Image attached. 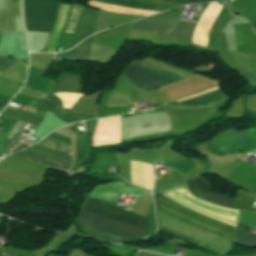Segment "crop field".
<instances>
[{
    "instance_id": "crop-field-1",
    "label": "crop field",
    "mask_w": 256,
    "mask_h": 256,
    "mask_svg": "<svg viewBox=\"0 0 256 256\" xmlns=\"http://www.w3.org/2000/svg\"><path fill=\"white\" fill-rule=\"evenodd\" d=\"M81 211L98 215L104 218L120 221L144 229L146 218L127 212L110 205L109 203L87 198ZM79 212L76 220L86 227L110 236L122 239H135L142 229L132 227L120 222L104 219L88 213Z\"/></svg>"
},
{
    "instance_id": "crop-field-2",
    "label": "crop field",
    "mask_w": 256,
    "mask_h": 256,
    "mask_svg": "<svg viewBox=\"0 0 256 256\" xmlns=\"http://www.w3.org/2000/svg\"><path fill=\"white\" fill-rule=\"evenodd\" d=\"M126 75L133 86L153 90L161 85L186 79L185 77L145 60L134 61L126 67Z\"/></svg>"
},
{
    "instance_id": "crop-field-3",
    "label": "crop field",
    "mask_w": 256,
    "mask_h": 256,
    "mask_svg": "<svg viewBox=\"0 0 256 256\" xmlns=\"http://www.w3.org/2000/svg\"><path fill=\"white\" fill-rule=\"evenodd\" d=\"M157 210L162 211L166 214L174 216L192 225L200 227L218 236L226 238L231 241L234 233V226L225 225L218 223L193 213H190L179 206H177L167 195L166 191L155 194Z\"/></svg>"
},
{
    "instance_id": "crop-field-4",
    "label": "crop field",
    "mask_w": 256,
    "mask_h": 256,
    "mask_svg": "<svg viewBox=\"0 0 256 256\" xmlns=\"http://www.w3.org/2000/svg\"><path fill=\"white\" fill-rule=\"evenodd\" d=\"M57 0H24L27 30L48 32L54 22Z\"/></svg>"
},
{
    "instance_id": "crop-field-5",
    "label": "crop field",
    "mask_w": 256,
    "mask_h": 256,
    "mask_svg": "<svg viewBox=\"0 0 256 256\" xmlns=\"http://www.w3.org/2000/svg\"><path fill=\"white\" fill-rule=\"evenodd\" d=\"M181 15L172 13H161L148 18L141 19L133 29L170 31L178 22Z\"/></svg>"
},
{
    "instance_id": "crop-field-6",
    "label": "crop field",
    "mask_w": 256,
    "mask_h": 256,
    "mask_svg": "<svg viewBox=\"0 0 256 256\" xmlns=\"http://www.w3.org/2000/svg\"><path fill=\"white\" fill-rule=\"evenodd\" d=\"M236 50L256 55V34L249 24L234 25Z\"/></svg>"
},
{
    "instance_id": "crop-field-7",
    "label": "crop field",
    "mask_w": 256,
    "mask_h": 256,
    "mask_svg": "<svg viewBox=\"0 0 256 256\" xmlns=\"http://www.w3.org/2000/svg\"><path fill=\"white\" fill-rule=\"evenodd\" d=\"M36 145H39V146H42V147H45V148H48V149H51V150H55V151H58V152H61V153H64V154H67V155L71 156V146L70 145H67L65 143L53 140V139L48 138V137L44 138L43 140L38 142ZM36 145H33V146H31L29 148H26V149L42 151V152L51 154L55 157H58L60 159H63L65 161H68V162L71 163V157L70 156H67V155H64V154H61V153H58V152H55V151H51V150H48V149H45V148H42V147H39V146H36Z\"/></svg>"
},
{
    "instance_id": "crop-field-8",
    "label": "crop field",
    "mask_w": 256,
    "mask_h": 256,
    "mask_svg": "<svg viewBox=\"0 0 256 256\" xmlns=\"http://www.w3.org/2000/svg\"><path fill=\"white\" fill-rule=\"evenodd\" d=\"M13 155H16L18 157L27 159L29 161H32L41 165L55 167V168L64 169V170H66L70 166V164L63 162L57 158L51 157L46 154L38 153V152L20 151Z\"/></svg>"
},
{
    "instance_id": "crop-field-9",
    "label": "crop field",
    "mask_w": 256,
    "mask_h": 256,
    "mask_svg": "<svg viewBox=\"0 0 256 256\" xmlns=\"http://www.w3.org/2000/svg\"><path fill=\"white\" fill-rule=\"evenodd\" d=\"M96 14V10L86 7L84 8L81 20L77 28L76 38L73 43V46L93 31L94 23L96 20Z\"/></svg>"
},
{
    "instance_id": "crop-field-10",
    "label": "crop field",
    "mask_w": 256,
    "mask_h": 256,
    "mask_svg": "<svg viewBox=\"0 0 256 256\" xmlns=\"http://www.w3.org/2000/svg\"><path fill=\"white\" fill-rule=\"evenodd\" d=\"M61 91L80 92V82L78 76H61L56 83L52 93Z\"/></svg>"
},
{
    "instance_id": "crop-field-11",
    "label": "crop field",
    "mask_w": 256,
    "mask_h": 256,
    "mask_svg": "<svg viewBox=\"0 0 256 256\" xmlns=\"http://www.w3.org/2000/svg\"><path fill=\"white\" fill-rule=\"evenodd\" d=\"M102 3H108L128 8L141 9V10H151V11H160L155 5H146L136 2L134 0H92Z\"/></svg>"
},
{
    "instance_id": "crop-field-12",
    "label": "crop field",
    "mask_w": 256,
    "mask_h": 256,
    "mask_svg": "<svg viewBox=\"0 0 256 256\" xmlns=\"http://www.w3.org/2000/svg\"><path fill=\"white\" fill-rule=\"evenodd\" d=\"M91 38L92 36L80 43L73 50H70L64 59L87 60L89 56Z\"/></svg>"
},
{
    "instance_id": "crop-field-13",
    "label": "crop field",
    "mask_w": 256,
    "mask_h": 256,
    "mask_svg": "<svg viewBox=\"0 0 256 256\" xmlns=\"http://www.w3.org/2000/svg\"><path fill=\"white\" fill-rule=\"evenodd\" d=\"M181 20L187 21V20H183V19H181ZM182 21H179V23L173 29L172 34H173L174 38L191 40L192 31L195 26V24H194L195 22L188 23L191 21H188V22H182Z\"/></svg>"
},
{
    "instance_id": "crop-field-14",
    "label": "crop field",
    "mask_w": 256,
    "mask_h": 256,
    "mask_svg": "<svg viewBox=\"0 0 256 256\" xmlns=\"http://www.w3.org/2000/svg\"><path fill=\"white\" fill-rule=\"evenodd\" d=\"M247 228H248L247 226H244V225L238 223L233 241L242 242V243L251 244V245L256 246V236L251 234L247 230Z\"/></svg>"
},
{
    "instance_id": "crop-field-15",
    "label": "crop field",
    "mask_w": 256,
    "mask_h": 256,
    "mask_svg": "<svg viewBox=\"0 0 256 256\" xmlns=\"http://www.w3.org/2000/svg\"><path fill=\"white\" fill-rule=\"evenodd\" d=\"M187 186L189 191L192 194H194L196 197H199L208 193L207 182L203 181L199 177L188 179Z\"/></svg>"
},
{
    "instance_id": "crop-field-16",
    "label": "crop field",
    "mask_w": 256,
    "mask_h": 256,
    "mask_svg": "<svg viewBox=\"0 0 256 256\" xmlns=\"http://www.w3.org/2000/svg\"><path fill=\"white\" fill-rule=\"evenodd\" d=\"M221 96H222V94L219 91V92H215V93H212L209 95H205V96L191 99V100L181 102V103H183L185 105H192V106H206V105H209L211 103H214V102L220 100Z\"/></svg>"
},
{
    "instance_id": "crop-field-17",
    "label": "crop field",
    "mask_w": 256,
    "mask_h": 256,
    "mask_svg": "<svg viewBox=\"0 0 256 256\" xmlns=\"http://www.w3.org/2000/svg\"><path fill=\"white\" fill-rule=\"evenodd\" d=\"M255 199V197L237 192L233 201L234 208L239 210L252 211V205Z\"/></svg>"
},
{
    "instance_id": "crop-field-18",
    "label": "crop field",
    "mask_w": 256,
    "mask_h": 256,
    "mask_svg": "<svg viewBox=\"0 0 256 256\" xmlns=\"http://www.w3.org/2000/svg\"><path fill=\"white\" fill-rule=\"evenodd\" d=\"M45 71L29 66L28 79L24 87L35 90L41 79L43 78Z\"/></svg>"
},
{
    "instance_id": "crop-field-19",
    "label": "crop field",
    "mask_w": 256,
    "mask_h": 256,
    "mask_svg": "<svg viewBox=\"0 0 256 256\" xmlns=\"http://www.w3.org/2000/svg\"><path fill=\"white\" fill-rule=\"evenodd\" d=\"M164 166L172 169H177L183 174L196 168L191 160L186 161H164Z\"/></svg>"
},
{
    "instance_id": "crop-field-20",
    "label": "crop field",
    "mask_w": 256,
    "mask_h": 256,
    "mask_svg": "<svg viewBox=\"0 0 256 256\" xmlns=\"http://www.w3.org/2000/svg\"><path fill=\"white\" fill-rule=\"evenodd\" d=\"M200 198L204 199V200H207L211 203H215V204H219V205H223V206L233 208L232 199H229V198H225V197L215 195V194H212V193H209V194H207L203 197H200Z\"/></svg>"
},
{
    "instance_id": "crop-field-21",
    "label": "crop field",
    "mask_w": 256,
    "mask_h": 256,
    "mask_svg": "<svg viewBox=\"0 0 256 256\" xmlns=\"http://www.w3.org/2000/svg\"><path fill=\"white\" fill-rule=\"evenodd\" d=\"M159 228H160V229H163L164 231L170 232V233H172V234H174V235L180 236V237H182V238H184V239H186V240H188V241H190V242H193V243H195V244H197V245H200V246H202V247H204V248H206V249H209V250H211V251H214V252H216V253H218V254H226V253H228V252H230V251L232 250V246H231V242H230V241H229L230 249L227 250L226 252H221V251H219V250H217V249H215V248H212V247H210V246H208V245H205V244H203V243H200V242H198V241H196V240H193V239H191V238H189V237H186V236H184V235H182V234H179V233H177V232H174V231H172V230H170V229H167V228H165V227H163V226H161V225H159ZM180 237H179V238H180Z\"/></svg>"
},
{
    "instance_id": "crop-field-22",
    "label": "crop field",
    "mask_w": 256,
    "mask_h": 256,
    "mask_svg": "<svg viewBox=\"0 0 256 256\" xmlns=\"http://www.w3.org/2000/svg\"><path fill=\"white\" fill-rule=\"evenodd\" d=\"M53 95L61 99L65 108H70L76 102V100L81 96V94H74V93H58Z\"/></svg>"
},
{
    "instance_id": "crop-field-23",
    "label": "crop field",
    "mask_w": 256,
    "mask_h": 256,
    "mask_svg": "<svg viewBox=\"0 0 256 256\" xmlns=\"http://www.w3.org/2000/svg\"><path fill=\"white\" fill-rule=\"evenodd\" d=\"M0 117H4V118H8V119H13V120H19V121L28 122V123H33V124H36V125H38L39 122H40L38 120L28 119V118H24V117H21V116H14V115L5 114V113H2L0 115Z\"/></svg>"
},
{
    "instance_id": "crop-field-24",
    "label": "crop field",
    "mask_w": 256,
    "mask_h": 256,
    "mask_svg": "<svg viewBox=\"0 0 256 256\" xmlns=\"http://www.w3.org/2000/svg\"><path fill=\"white\" fill-rule=\"evenodd\" d=\"M157 1H162V2H166V3L189 5V4L200 3V2H208V1H214V0H157Z\"/></svg>"
},
{
    "instance_id": "crop-field-25",
    "label": "crop field",
    "mask_w": 256,
    "mask_h": 256,
    "mask_svg": "<svg viewBox=\"0 0 256 256\" xmlns=\"http://www.w3.org/2000/svg\"><path fill=\"white\" fill-rule=\"evenodd\" d=\"M17 59L0 56V69H6L12 66Z\"/></svg>"
},
{
    "instance_id": "crop-field-26",
    "label": "crop field",
    "mask_w": 256,
    "mask_h": 256,
    "mask_svg": "<svg viewBox=\"0 0 256 256\" xmlns=\"http://www.w3.org/2000/svg\"><path fill=\"white\" fill-rule=\"evenodd\" d=\"M11 99V97H7V96H0V101H6L9 102Z\"/></svg>"
},
{
    "instance_id": "crop-field-27",
    "label": "crop field",
    "mask_w": 256,
    "mask_h": 256,
    "mask_svg": "<svg viewBox=\"0 0 256 256\" xmlns=\"http://www.w3.org/2000/svg\"><path fill=\"white\" fill-rule=\"evenodd\" d=\"M6 104H7L6 102H0V106H4L5 107Z\"/></svg>"
},
{
    "instance_id": "crop-field-28",
    "label": "crop field",
    "mask_w": 256,
    "mask_h": 256,
    "mask_svg": "<svg viewBox=\"0 0 256 256\" xmlns=\"http://www.w3.org/2000/svg\"><path fill=\"white\" fill-rule=\"evenodd\" d=\"M253 30L256 32V24L252 25Z\"/></svg>"
},
{
    "instance_id": "crop-field-29",
    "label": "crop field",
    "mask_w": 256,
    "mask_h": 256,
    "mask_svg": "<svg viewBox=\"0 0 256 256\" xmlns=\"http://www.w3.org/2000/svg\"><path fill=\"white\" fill-rule=\"evenodd\" d=\"M115 117H117V116H115ZM108 118H113V117H108ZM108 118H103V119H108ZM103 119H101V120H103ZM99 121V120H98Z\"/></svg>"
},
{
    "instance_id": "crop-field-30",
    "label": "crop field",
    "mask_w": 256,
    "mask_h": 256,
    "mask_svg": "<svg viewBox=\"0 0 256 256\" xmlns=\"http://www.w3.org/2000/svg\"><path fill=\"white\" fill-rule=\"evenodd\" d=\"M247 256H256V254H253V255H247Z\"/></svg>"
},
{
    "instance_id": "crop-field-31",
    "label": "crop field",
    "mask_w": 256,
    "mask_h": 256,
    "mask_svg": "<svg viewBox=\"0 0 256 256\" xmlns=\"http://www.w3.org/2000/svg\"><path fill=\"white\" fill-rule=\"evenodd\" d=\"M2 109H3V108H2V107H0V111H2Z\"/></svg>"
},
{
    "instance_id": "crop-field-32",
    "label": "crop field",
    "mask_w": 256,
    "mask_h": 256,
    "mask_svg": "<svg viewBox=\"0 0 256 256\" xmlns=\"http://www.w3.org/2000/svg\"><path fill=\"white\" fill-rule=\"evenodd\" d=\"M208 5H209V3H208ZM208 5H207V6H208ZM207 6H206V7H207ZM205 9H206V8H205Z\"/></svg>"
}]
</instances>
